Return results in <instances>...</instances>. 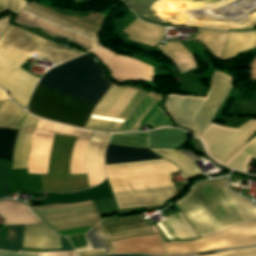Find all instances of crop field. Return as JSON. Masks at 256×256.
Segmentation results:
<instances>
[{"label":"crop field","instance_id":"1","mask_svg":"<svg viewBox=\"0 0 256 256\" xmlns=\"http://www.w3.org/2000/svg\"><path fill=\"white\" fill-rule=\"evenodd\" d=\"M48 80L101 98L110 86L105 74L85 54L54 67L43 76ZM41 78L29 102L28 111L49 120L84 126L99 99Z\"/></svg>","mask_w":256,"mask_h":256},{"label":"crop field","instance_id":"2","mask_svg":"<svg viewBox=\"0 0 256 256\" xmlns=\"http://www.w3.org/2000/svg\"><path fill=\"white\" fill-rule=\"evenodd\" d=\"M226 180L204 181L176 201L201 237L256 219V208L226 188Z\"/></svg>","mask_w":256,"mask_h":256},{"label":"crop field","instance_id":"3","mask_svg":"<svg viewBox=\"0 0 256 256\" xmlns=\"http://www.w3.org/2000/svg\"><path fill=\"white\" fill-rule=\"evenodd\" d=\"M2 38L56 64L78 56L11 25ZM32 55L0 38V86L23 108L39 79L19 68Z\"/></svg>","mask_w":256,"mask_h":256},{"label":"crop field","instance_id":"4","mask_svg":"<svg viewBox=\"0 0 256 256\" xmlns=\"http://www.w3.org/2000/svg\"><path fill=\"white\" fill-rule=\"evenodd\" d=\"M76 137L54 134L49 158V172L41 175L42 191L71 192L87 188L86 174L69 175V159ZM91 142L85 152V168L89 187L99 184L105 177L104 147Z\"/></svg>","mask_w":256,"mask_h":256},{"label":"crop field","instance_id":"5","mask_svg":"<svg viewBox=\"0 0 256 256\" xmlns=\"http://www.w3.org/2000/svg\"><path fill=\"white\" fill-rule=\"evenodd\" d=\"M230 86L228 76L215 71L211 89L205 98L169 95L164 106L175 123L193 130L197 135L208 125Z\"/></svg>","mask_w":256,"mask_h":256},{"label":"crop field","instance_id":"6","mask_svg":"<svg viewBox=\"0 0 256 256\" xmlns=\"http://www.w3.org/2000/svg\"><path fill=\"white\" fill-rule=\"evenodd\" d=\"M106 163L107 176L174 169L171 163L160 157L110 161ZM165 170L107 177L113 192L173 186L169 172Z\"/></svg>","mask_w":256,"mask_h":256},{"label":"crop field","instance_id":"7","mask_svg":"<svg viewBox=\"0 0 256 256\" xmlns=\"http://www.w3.org/2000/svg\"><path fill=\"white\" fill-rule=\"evenodd\" d=\"M53 133L77 136L70 159V174L86 173L84 152L91 132L40 119L33 134L28 160V173H47Z\"/></svg>","mask_w":256,"mask_h":256},{"label":"crop field","instance_id":"8","mask_svg":"<svg viewBox=\"0 0 256 256\" xmlns=\"http://www.w3.org/2000/svg\"><path fill=\"white\" fill-rule=\"evenodd\" d=\"M30 209L54 231L90 227L103 220L92 201L36 206Z\"/></svg>","mask_w":256,"mask_h":256},{"label":"crop field","instance_id":"9","mask_svg":"<svg viewBox=\"0 0 256 256\" xmlns=\"http://www.w3.org/2000/svg\"><path fill=\"white\" fill-rule=\"evenodd\" d=\"M256 132V121H249L239 130L210 126L198 137L207 153L221 164Z\"/></svg>","mask_w":256,"mask_h":256},{"label":"crop field","instance_id":"10","mask_svg":"<svg viewBox=\"0 0 256 256\" xmlns=\"http://www.w3.org/2000/svg\"><path fill=\"white\" fill-rule=\"evenodd\" d=\"M22 11L27 12L31 15H34L36 17H39V18L44 19L46 21H49L53 24H56L58 26L66 28L70 31H73L75 33H78L80 35H83L85 37H88L92 40L97 41V35L96 34L91 33L89 31H86V30H84L82 28H79L77 26H74L72 24H69L67 22H64V21H62L60 19H57L55 17H52L50 15H47L45 13H42L38 10H35V9L30 8L28 6H25ZM22 11L15 17V21L18 22V23H21L25 26H39L46 33L69 38L72 41L78 43L79 45H81V46H83V47H85L89 50L94 49V48L99 46V44L97 43L98 41L97 42L92 41L88 38H85L83 36H80L78 34L70 32L66 29H63V28L58 27L56 25H53L49 22H46L44 20H41V19L36 18L34 16H31L27 13L22 12Z\"/></svg>","mask_w":256,"mask_h":256},{"label":"crop field","instance_id":"11","mask_svg":"<svg viewBox=\"0 0 256 256\" xmlns=\"http://www.w3.org/2000/svg\"><path fill=\"white\" fill-rule=\"evenodd\" d=\"M145 94L139 89L112 83L91 115L126 120Z\"/></svg>","mask_w":256,"mask_h":256},{"label":"crop field","instance_id":"12","mask_svg":"<svg viewBox=\"0 0 256 256\" xmlns=\"http://www.w3.org/2000/svg\"><path fill=\"white\" fill-rule=\"evenodd\" d=\"M196 253L256 244V220L192 240Z\"/></svg>","mask_w":256,"mask_h":256},{"label":"crop field","instance_id":"13","mask_svg":"<svg viewBox=\"0 0 256 256\" xmlns=\"http://www.w3.org/2000/svg\"><path fill=\"white\" fill-rule=\"evenodd\" d=\"M91 52L97 56L101 62L106 64V66L112 71L111 75L118 82H121L124 79H152L153 69L145 63L132 60L128 57H121L103 47Z\"/></svg>","mask_w":256,"mask_h":256},{"label":"crop field","instance_id":"14","mask_svg":"<svg viewBox=\"0 0 256 256\" xmlns=\"http://www.w3.org/2000/svg\"><path fill=\"white\" fill-rule=\"evenodd\" d=\"M159 100L150 98L147 94L134 109L125 123L122 125L119 132L125 131H141V124H147L151 115L155 111ZM167 118L162 111L157 107L153 116L149 120L148 124L153 126H164L167 122Z\"/></svg>","mask_w":256,"mask_h":256},{"label":"crop field","instance_id":"15","mask_svg":"<svg viewBox=\"0 0 256 256\" xmlns=\"http://www.w3.org/2000/svg\"><path fill=\"white\" fill-rule=\"evenodd\" d=\"M119 208L157 205L173 195V187L113 193Z\"/></svg>","mask_w":256,"mask_h":256},{"label":"crop field","instance_id":"16","mask_svg":"<svg viewBox=\"0 0 256 256\" xmlns=\"http://www.w3.org/2000/svg\"><path fill=\"white\" fill-rule=\"evenodd\" d=\"M111 244L115 253L166 255L158 234L112 241Z\"/></svg>","mask_w":256,"mask_h":256},{"label":"crop field","instance_id":"17","mask_svg":"<svg viewBox=\"0 0 256 256\" xmlns=\"http://www.w3.org/2000/svg\"><path fill=\"white\" fill-rule=\"evenodd\" d=\"M28 6L38 9L42 12L60 18L64 21L82 27L94 33H98L102 24V16L97 13L93 15L91 12H74L65 10H53L38 6L34 3H29Z\"/></svg>","mask_w":256,"mask_h":256},{"label":"crop field","instance_id":"18","mask_svg":"<svg viewBox=\"0 0 256 256\" xmlns=\"http://www.w3.org/2000/svg\"><path fill=\"white\" fill-rule=\"evenodd\" d=\"M37 120L38 118L30 114L24 118L16 138L12 169L27 168L32 134Z\"/></svg>","mask_w":256,"mask_h":256},{"label":"crop field","instance_id":"19","mask_svg":"<svg viewBox=\"0 0 256 256\" xmlns=\"http://www.w3.org/2000/svg\"><path fill=\"white\" fill-rule=\"evenodd\" d=\"M0 216L3 225H28L41 223L29 210L27 205L11 199L0 200Z\"/></svg>","mask_w":256,"mask_h":256},{"label":"crop field","instance_id":"20","mask_svg":"<svg viewBox=\"0 0 256 256\" xmlns=\"http://www.w3.org/2000/svg\"><path fill=\"white\" fill-rule=\"evenodd\" d=\"M24 248L53 249L60 247V236L52 233L44 225L24 226Z\"/></svg>","mask_w":256,"mask_h":256},{"label":"crop field","instance_id":"21","mask_svg":"<svg viewBox=\"0 0 256 256\" xmlns=\"http://www.w3.org/2000/svg\"><path fill=\"white\" fill-rule=\"evenodd\" d=\"M99 225L105 230L110 240L131 235L150 233L141 216L118 221L105 222Z\"/></svg>","mask_w":256,"mask_h":256},{"label":"crop field","instance_id":"22","mask_svg":"<svg viewBox=\"0 0 256 256\" xmlns=\"http://www.w3.org/2000/svg\"><path fill=\"white\" fill-rule=\"evenodd\" d=\"M154 153L174 163L185 177L200 176L202 173L194 163L199 160L190 151L172 149H150Z\"/></svg>","mask_w":256,"mask_h":256},{"label":"crop field","instance_id":"23","mask_svg":"<svg viewBox=\"0 0 256 256\" xmlns=\"http://www.w3.org/2000/svg\"><path fill=\"white\" fill-rule=\"evenodd\" d=\"M166 220L158 223L165 239L196 238L198 234L188 223L182 213L165 217Z\"/></svg>","mask_w":256,"mask_h":256},{"label":"crop field","instance_id":"24","mask_svg":"<svg viewBox=\"0 0 256 256\" xmlns=\"http://www.w3.org/2000/svg\"><path fill=\"white\" fill-rule=\"evenodd\" d=\"M163 31L164 29L159 26L144 23L138 19L123 30V32L130 35L129 39L139 41L154 48H156L157 42L163 38Z\"/></svg>","mask_w":256,"mask_h":256},{"label":"crop field","instance_id":"25","mask_svg":"<svg viewBox=\"0 0 256 256\" xmlns=\"http://www.w3.org/2000/svg\"><path fill=\"white\" fill-rule=\"evenodd\" d=\"M158 48L172 59L182 73L197 68L192 54L179 42H166L165 46L158 44Z\"/></svg>","mask_w":256,"mask_h":256},{"label":"crop field","instance_id":"26","mask_svg":"<svg viewBox=\"0 0 256 256\" xmlns=\"http://www.w3.org/2000/svg\"><path fill=\"white\" fill-rule=\"evenodd\" d=\"M254 46H256V32H230L220 59L227 60L233 57L236 52H243Z\"/></svg>","mask_w":256,"mask_h":256},{"label":"crop field","instance_id":"27","mask_svg":"<svg viewBox=\"0 0 256 256\" xmlns=\"http://www.w3.org/2000/svg\"><path fill=\"white\" fill-rule=\"evenodd\" d=\"M12 193L19 191H41L39 175L27 174V169L12 170Z\"/></svg>","mask_w":256,"mask_h":256},{"label":"crop field","instance_id":"28","mask_svg":"<svg viewBox=\"0 0 256 256\" xmlns=\"http://www.w3.org/2000/svg\"><path fill=\"white\" fill-rule=\"evenodd\" d=\"M154 156L156 155L152 154L149 149L118 147L109 144L105 151V161Z\"/></svg>","mask_w":256,"mask_h":256},{"label":"crop field","instance_id":"29","mask_svg":"<svg viewBox=\"0 0 256 256\" xmlns=\"http://www.w3.org/2000/svg\"><path fill=\"white\" fill-rule=\"evenodd\" d=\"M26 114L12 101L6 100L0 108V127L17 129Z\"/></svg>","mask_w":256,"mask_h":256},{"label":"crop field","instance_id":"30","mask_svg":"<svg viewBox=\"0 0 256 256\" xmlns=\"http://www.w3.org/2000/svg\"><path fill=\"white\" fill-rule=\"evenodd\" d=\"M229 32L201 30L196 39L203 42L206 47L219 58Z\"/></svg>","mask_w":256,"mask_h":256},{"label":"crop field","instance_id":"31","mask_svg":"<svg viewBox=\"0 0 256 256\" xmlns=\"http://www.w3.org/2000/svg\"><path fill=\"white\" fill-rule=\"evenodd\" d=\"M252 156L256 157V136L243 146L225 166L246 172L247 163Z\"/></svg>","mask_w":256,"mask_h":256},{"label":"crop field","instance_id":"32","mask_svg":"<svg viewBox=\"0 0 256 256\" xmlns=\"http://www.w3.org/2000/svg\"><path fill=\"white\" fill-rule=\"evenodd\" d=\"M110 144L148 148V132L111 134Z\"/></svg>","mask_w":256,"mask_h":256},{"label":"crop field","instance_id":"33","mask_svg":"<svg viewBox=\"0 0 256 256\" xmlns=\"http://www.w3.org/2000/svg\"><path fill=\"white\" fill-rule=\"evenodd\" d=\"M18 130L0 128V158L11 160L12 148Z\"/></svg>","mask_w":256,"mask_h":256},{"label":"crop field","instance_id":"34","mask_svg":"<svg viewBox=\"0 0 256 256\" xmlns=\"http://www.w3.org/2000/svg\"><path fill=\"white\" fill-rule=\"evenodd\" d=\"M23 226H8L7 241L0 242V249L15 251L21 249Z\"/></svg>","mask_w":256,"mask_h":256},{"label":"crop field","instance_id":"35","mask_svg":"<svg viewBox=\"0 0 256 256\" xmlns=\"http://www.w3.org/2000/svg\"><path fill=\"white\" fill-rule=\"evenodd\" d=\"M121 123L122 121L119 120L90 117L85 128L112 132L117 131Z\"/></svg>","mask_w":256,"mask_h":256},{"label":"crop field","instance_id":"36","mask_svg":"<svg viewBox=\"0 0 256 256\" xmlns=\"http://www.w3.org/2000/svg\"><path fill=\"white\" fill-rule=\"evenodd\" d=\"M86 237L89 243L88 247L76 250L77 253L95 250V249H101V248H104L106 254L109 253L106 244L104 243L103 239L94 228L89 230Z\"/></svg>","mask_w":256,"mask_h":256},{"label":"crop field","instance_id":"37","mask_svg":"<svg viewBox=\"0 0 256 256\" xmlns=\"http://www.w3.org/2000/svg\"><path fill=\"white\" fill-rule=\"evenodd\" d=\"M25 5H27V3L23 0H0V13L13 11L18 14Z\"/></svg>","mask_w":256,"mask_h":256},{"label":"crop field","instance_id":"38","mask_svg":"<svg viewBox=\"0 0 256 256\" xmlns=\"http://www.w3.org/2000/svg\"><path fill=\"white\" fill-rule=\"evenodd\" d=\"M198 256H256V247L219 252L215 254L198 255Z\"/></svg>","mask_w":256,"mask_h":256},{"label":"crop field","instance_id":"39","mask_svg":"<svg viewBox=\"0 0 256 256\" xmlns=\"http://www.w3.org/2000/svg\"><path fill=\"white\" fill-rule=\"evenodd\" d=\"M10 161L0 160V185L1 193L9 194L7 184V173L10 165Z\"/></svg>","mask_w":256,"mask_h":256},{"label":"crop field","instance_id":"40","mask_svg":"<svg viewBox=\"0 0 256 256\" xmlns=\"http://www.w3.org/2000/svg\"><path fill=\"white\" fill-rule=\"evenodd\" d=\"M85 233L82 234H74V235H67L65 236L67 239H69L73 245L74 248H79V247H86V239L84 236Z\"/></svg>","mask_w":256,"mask_h":256},{"label":"crop field","instance_id":"41","mask_svg":"<svg viewBox=\"0 0 256 256\" xmlns=\"http://www.w3.org/2000/svg\"><path fill=\"white\" fill-rule=\"evenodd\" d=\"M0 256H41V252H9L0 250Z\"/></svg>","mask_w":256,"mask_h":256},{"label":"crop field","instance_id":"42","mask_svg":"<svg viewBox=\"0 0 256 256\" xmlns=\"http://www.w3.org/2000/svg\"><path fill=\"white\" fill-rule=\"evenodd\" d=\"M61 246L62 249H57V250H41L42 252H55V251H69L73 250L71 244L63 237H61Z\"/></svg>","mask_w":256,"mask_h":256},{"label":"crop field","instance_id":"43","mask_svg":"<svg viewBox=\"0 0 256 256\" xmlns=\"http://www.w3.org/2000/svg\"><path fill=\"white\" fill-rule=\"evenodd\" d=\"M9 22H10V15L0 19L1 36L5 32V30L8 28Z\"/></svg>","mask_w":256,"mask_h":256},{"label":"crop field","instance_id":"44","mask_svg":"<svg viewBox=\"0 0 256 256\" xmlns=\"http://www.w3.org/2000/svg\"><path fill=\"white\" fill-rule=\"evenodd\" d=\"M107 136L106 134L94 132L91 140L105 143Z\"/></svg>","mask_w":256,"mask_h":256},{"label":"crop field","instance_id":"45","mask_svg":"<svg viewBox=\"0 0 256 256\" xmlns=\"http://www.w3.org/2000/svg\"><path fill=\"white\" fill-rule=\"evenodd\" d=\"M42 256H75L74 253L42 254Z\"/></svg>","mask_w":256,"mask_h":256},{"label":"crop field","instance_id":"46","mask_svg":"<svg viewBox=\"0 0 256 256\" xmlns=\"http://www.w3.org/2000/svg\"><path fill=\"white\" fill-rule=\"evenodd\" d=\"M207 62L209 64V70H208V72H207V74L205 76V79H209L210 78V75H211V73H212V71L214 69V65L212 64V62L211 61H207Z\"/></svg>","mask_w":256,"mask_h":256},{"label":"crop field","instance_id":"47","mask_svg":"<svg viewBox=\"0 0 256 256\" xmlns=\"http://www.w3.org/2000/svg\"><path fill=\"white\" fill-rule=\"evenodd\" d=\"M0 99H8L6 93L4 91H2L1 89H0Z\"/></svg>","mask_w":256,"mask_h":256},{"label":"crop field","instance_id":"48","mask_svg":"<svg viewBox=\"0 0 256 256\" xmlns=\"http://www.w3.org/2000/svg\"><path fill=\"white\" fill-rule=\"evenodd\" d=\"M3 197H7V196H6V195H1V194H0V198H3Z\"/></svg>","mask_w":256,"mask_h":256},{"label":"crop field","instance_id":"49","mask_svg":"<svg viewBox=\"0 0 256 256\" xmlns=\"http://www.w3.org/2000/svg\"><path fill=\"white\" fill-rule=\"evenodd\" d=\"M4 102V100H0V106H1V104Z\"/></svg>","mask_w":256,"mask_h":256},{"label":"crop field","instance_id":"50","mask_svg":"<svg viewBox=\"0 0 256 256\" xmlns=\"http://www.w3.org/2000/svg\"><path fill=\"white\" fill-rule=\"evenodd\" d=\"M12 164V163H11ZM10 168H11V166H10ZM10 168H9V172H10ZM9 191H10V186H9ZM10 194H11V192H10Z\"/></svg>","mask_w":256,"mask_h":256}]
</instances>
